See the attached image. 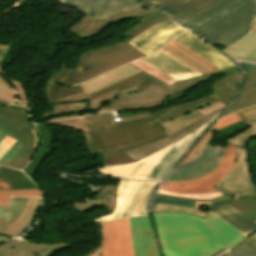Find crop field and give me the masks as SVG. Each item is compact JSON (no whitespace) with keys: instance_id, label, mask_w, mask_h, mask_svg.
I'll use <instances>...</instances> for the list:
<instances>
[{"instance_id":"obj_8","label":"crop field","mask_w":256,"mask_h":256,"mask_svg":"<svg viewBox=\"0 0 256 256\" xmlns=\"http://www.w3.org/2000/svg\"><path fill=\"white\" fill-rule=\"evenodd\" d=\"M129 223V218L102 223L103 256H134Z\"/></svg>"},{"instance_id":"obj_65","label":"crop field","mask_w":256,"mask_h":256,"mask_svg":"<svg viewBox=\"0 0 256 256\" xmlns=\"http://www.w3.org/2000/svg\"><path fill=\"white\" fill-rule=\"evenodd\" d=\"M9 45H0V61H2L6 55Z\"/></svg>"},{"instance_id":"obj_47","label":"crop field","mask_w":256,"mask_h":256,"mask_svg":"<svg viewBox=\"0 0 256 256\" xmlns=\"http://www.w3.org/2000/svg\"><path fill=\"white\" fill-rule=\"evenodd\" d=\"M143 17H145L147 19L141 21L139 24H137L135 27H133L132 29H130L129 31H127L123 35L130 37L134 32H136L140 28L146 26L147 24L151 23L152 21H154L156 19H159V18H162V17H166V15H164L163 13H161L159 11H156V12H152L150 14L144 15V16H140L138 18H143Z\"/></svg>"},{"instance_id":"obj_63","label":"crop field","mask_w":256,"mask_h":256,"mask_svg":"<svg viewBox=\"0 0 256 256\" xmlns=\"http://www.w3.org/2000/svg\"><path fill=\"white\" fill-rule=\"evenodd\" d=\"M80 116L79 113H72V114H64L58 117H54L51 119L43 120V122L50 121V120H58V119H64V118H70V117H77Z\"/></svg>"},{"instance_id":"obj_39","label":"crop field","mask_w":256,"mask_h":256,"mask_svg":"<svg viewBox=\"0 0 256 256\" xmlns=\"http://www.w3.org/2000/svg\"><path fill=\"white\" fill-rule=\"evenodd\" d=\"M2 113L10 116V120L16 122L22 127H34L30 117L28 116V110L19 106H5Z\"/></svg>"},{"instance_id":"obj_4","label":"crop field","mask_w":256,"mask_h":256,"mask_svg":"<svg viewBox=\"0 0 256 256\" xmlns=\"http://www.w3.org/2000/svg\"><path fill=\"white\" fill-rule=\"evenodd\" d=\"M215 118L216 116L183 139L136 163L106 167L99 171L118 177L162 180Z\"/></svg>"},{"instance_id":"obj_38","label":"crop field","mask_w":256,"mask_h":256,"mask_svg":"<svg viewBox=\"0 0 256 256\" xmlns=\"http://www.w3.org/2000/svg\"><path fill=\"white\" fill-rule=\"evenodd\" d=\"M238 201L228 203L230 206L244 214L249 219L256 222V197L252 195H244L234 197Z\"/></svg>"},{"instance_id":"obj_70","label":"crop field","mask_w":256,"mask_h":256,"mask_svg":"<svg viewBox=\"0 0 256 256\" xmlns=\"http://www.w3.org/2000/svg\"><path fill=\"white\" fill-rule=\"evenodd\" d=\"M9 239V237L0 235V242Z\"/></svg>"},{"instance_id":"obj_21","label":"crop field","mask_w":256,"mask_h":256,"mask_svg":"<svg viewBox=\"0 0 256 256\" xmlns=\"http://www.w3.org/2000/svg\"><path fill=\"white\" fill-rule=\"evenodd\" d=\"M163 50L167 51L186 65L198 70L204 75L218 70L216 67L209 64L174 40L169 45L165 46Z\"/></svg>"},{"instance_id":"obj_32","label":"crop field","mask_w":256,"mask_h":256,"mask_svg":"<svg viewBox=\"0 0 256 256\" xmlns=\"http://www.w3.org/2000/svg\"><path fill=\"white\" fill-rule=\"evenodd\" d=\"M84 55L85 53L81 54L78 66L75 70L67 69V64H64L61 67V71L54 72L48 81L60 85H71L79 83L80 75L82 72Z\"/></svg>"},{"instance_id":"obj_42","label":"crop field","mask_w":256,"mask_h":256,"mask_svg":"<svg viewBox=\"0 0 256 256\" xmlns=\"http://www.w3.org/2000/svg\"><path fill=\"white\" fill-rule=\"evenodd\" d=\"M132 64H134L135 66H137L138 68L142 69L143 71L151 74L152 76L164 81L165 83L167 84H172L174 83L175 81H177L176 79H174L173 77L159 71V70H156L144 63H142L141 61L137 60V61H134L132 62Z\"/></svg>"},{"instance_id":"obj_51","label":"crop field","mask_w":256,"mask_h":256,"mask_svg":"<svg viewBox=\"0 0 256 256\" xmlns=\"http://www.w3.org/2000/svg\"><path fill=\"white\" fill-rule=\"evenodd\" d=\"M0 103L3 104H13V96L8 88L7 85H5L0 80Z\"/></svg>"},{"instance_id":"obj_26","label":"crop field","mask_w":256,"mask_h":256,"mask_svg":"<svg viewBox=\"0 0 256 256\" xmlns=\"http://www.w3.org/2000/svg\"><path fill=\"white\" fill-rule=\"evenodd\" d=\"M95 192L100 193L99 197L96 199H91L87 202H80L72 204L73 207L83 213L91 208L95 207H105L110 210V212L115 209L116 201V191L118 186H93Z\"/></svg>"},{"instance_id":"obj_43","label":"crop field","mask_w":256,"mask_h":256,"mask_svg":"<svg viewBox=\"0 0 256 256\" xmlns=\"http://www.w3.org/2000/svg\"><path fill=\"white\" fill-rule=\"evenodd\" d=\"M119 93L120 92L117 89H115L109 93L103 94L97 98H93L89 100V105L87 110H98L100 108H103L107 102H109L111 99L118 96Z\"/></svg>"},{"instance_id":"obj_5","label":"crop field","mask_w":256,"mask_h":256,"mask_svg":"<svg viewBox=\"0 0 256 256\" xmlns=\"http://www.w3.org/2000/svg\"><path fill=\"white\" fill-rule=\"evenodd\" d=\"M167 20L171 19L169 17L159 19L140 29L127 40L116 42L109 46L86 52L80 83L99 76L134 59L147 57L140 51L136 50L128 42L139 36L151 26Z\"/></svg>"},{"instance_id":"obj_31","label":"crop field","mask_w":256,"mask_h":256,"mask_svg":"<svg viewBox=\"0 0 256 256\" xmlns=\"http://www.w3.org/2000/svg\"><path fill=\"white\" fill-rule=\"evenodd\" d=\"M0 180L9 183L10 189L37 188L22 172L3 166L0 168Z\"/></svg>"},{"instance_id":"obj_29","label":"crop field","mask_w":256,"mask_h":256,"mask_svg":"<svg viewBox=\"0 0 256 256\" xmlns=\"http://www.w3.org/2000/svg\"><path fill=\"white\" fill-rule=\"evenodd\" d=\"M223 52L236 60L256 61V31H251L244 39L226 48Z\"/></svg>"},{"instance_id":"obj_64","label":"crop field","mask_w":256,"mask_h":256,"mask_svg":"<svg viewBox=\"0 0 256 256\" xmlns=\"http://www.w3.org/2000/svg\"><path fill=\"white\" fill-rule=\"evenodd\" d=\"M246 244H248L249 246L253 247L254 249H256V234L247 238L246 240L242 241Z\"/></svg>"},{"instance_id":"obj_72","label":"crop field","mask_w":256,"mask_h":256,"mask_svg":"<svg viewBox=\"0 0 256 256\" xmlns=\"http://www.w3.org/2000/svg\"><path fill=\"white\" fill-rule=\"evenodd\" d=\"M251 193H253L254 195H256V190H255V191H253V192H251Z\"/></svg>"},{"instance_id":"obj_13","label":"crop field","mask_w":256,"mask_h":256,"mask_svg":"<svg viewBox=\"0 0 256 256\" xmlns=\"http://www.w3.org/2000/svg\"><path fill=\"white\" fill-rule=\"evenodd\" d=\"M165 94L166 91L148 83L122 92L120 96L110 101L105 107L123 108L158 104L165 101Z\"/></svg>"},{"instance_id":"obj_28","label":"crop field","mask_w":256,"mask_h":256,"mask_svg":"<svg viewBox=\"0 0 256 256\" xmlns=\"http://www.w3.org/2000/svg\"><path fill=\"white\" fill-rule=\"evenodd\" d=\"M232 71H239V68L236 67V68H232V69H228V70L217 71V72L208 74L206 76L192 78V79H188V80H184V81H178V82L172 84L171 86L163 83L162 81H160L158 79H155L154 77H152L150 75H148L144 78L151 84L168 91V93L166 95V97H168V96H173L179 92H183V91L195 86L198 83L204 82L205 80L211 78L214 75H220L223 73L225 75L226 73L232 72Z\"/></svg>"},{"instance_id":"obj_37","label":"crop field","mask_w":256,"mask_h":256,"mask_svg":"<svg viewBox=\"0 0 256 256\" xmlns=\"http://www.w3.org/2000/svg\"><path fill=\"white\" fill-rule=\"evenodd\" d=\"M88 101L85 102H72V103H60V104H51L52 110L45 112L41 115L38 121L51 118L63 113L71 112H81L85 111L87 108Z\"/></svg>"},{"instance_id":"obj_15","label":"crop field","mask_w":256,"mask_h":256,"mask_svg":"<svg viewBox=\"0 0 256 256\" xmlns=\"http://www.w3.org/2000/svg\"><path fill=\"white\" fill-rule=\"evenodd\" d=\"M156 11L153 8L145 7L124 13L117 14L103 22H100L88 15L73 24L67 31L81 38L95 36L102 33L105 26L120 22L125 19L135 18L149 12Z\"/></svg>"},{"instance_id":"obj_19","label":"crop field","mask_w":256,"mask_h":256,"mask_svg":"<svg viewBox=\"0 0 256 256\" xmlns=\"http://www.w3.org/2000/svg\"><path fill=\"white\" fill-rule=\"evenodd\" d=\"M12 246L19 252L12 254L10 256H50L51 254L71 248V243L69 244H33L29 242H24L19 239L4 243L0 245V250L6 247Z\"/></svg>"},{"instance_id":"obj_71","label":"crop field","mask_w":256,"mask_h":256,"mask_svg":"<svg viewBox=\"0 0 256 256\" xmlns=\"http://www.w3.org/2000/svg\"><path fill=\"white\" fill-rule=\"evenodd\" d=\"M253 30H256V22H255V24H254Z\"/></svg>"},{"instance_id":"obj_24","label":"crop field","mask_w":256,"mask_h":256,"mask_svg":"<svg viewBox=\"0 0 256 256\" xmlns=\"http://www.w3.org/2000/svg\"><path fill=\"white\" fill-rule=\"evenodd\" d=\"M209 211L225 220L243 234L256 230V224L227 204L211 207Z\"/></svg>"},{"instance_id":"obj_11","label":"crop field","mask_w":256,"mask_h":256,"mask_svg":"<svg viewBox=\"0 0 256 256\" xmlns=\"http://www.w3.org/2000/svg\"><path fill=\"white\" fill-rule=\"evenodd\" d=\"M225 149L207 145L204 152L193 162L177 167L164 181H182L202 177L212 172L220 162ZM212 162V164H210Z\"/></svg>"},{"instance_id":"obj_14","label":"crop field","mask_w":256,"mask_h":256,"mask_svg":"<svg viewBox=\"0 0 256 256\" xmlns=\"http://www.w3.org/2000/svg\"><path fill=\"white\" fill-rule=\"evenodd\" d=\"M164 9L181 22H186L222 0H139Z\"/></svg>"},{"instance_id":"obj_53","label":"crop field","mask_w":256,"mask_h":256,"mask_svg":"<svg viewBox=\"0 0 256 256\" xmlns=\"http://www.w3.org/2000/svg\"><path fill=\"white\" fill-rule=\"evenodd\" d=\"M239 79H240V71L239 72H232L229 73L227 75H225V77L223 78V80L225 81V83L234 91L236 92L237 90V86L239 83Z\"/></svg>"},{"instance_id":"obj_69","label":"crop field","mask_w":256,"mask_h":256,"mask_svg":"<svg viewBox=\"0 0 256 256\" xmlns=\"http://www.w3.org/2000/svg\"><path fill=\"white\" fill-rule=\"evenodd\" d=\"M224 251H226V250L223 248L222 250H220L219 252H217V253H215V254H213V255H211V256H218V255H220L221 253H223Z\"/></svg>"},{"instance_id":"obj_23","label":"crop field","mask_w":256,"mask_h":256,"mask_svg":"<svg viewBox=\"0 0 256 256\" xmlns=\"http://www.w3.org/2000/svg\"><path fill=\"white\" fill-rule=\"evenodd\" d=\"M138 69V68H137ZM133 66L127 64L119 69L108 72L100 77L84 82L81 85L85 95L95 92L105 86H108L114 82L124 79L128 76L140 72Z\"/></svg>"},{"instance_id":"obj_25","label":"crop field","mask_w":256,"mask_h":256,"mask_svg":"<svg viewBox=\"0 0 256 256\" xmlns=\"http://www.w3.org/2000/svg\"><path fill=\"white\" fill-rule=\"evenodd\" d=\"M221 106V107H220ZM225 105L217 102L215 104H212L210 106L197 109L195 111H192L188 114H185L181 117H178L174 120L168 121L166 123L160 124L161 128L164 130V132L170 136L176 131L202 119L203 117L209 115L210 113L224 107Z\"/></svg>"},{"instance_id":"obj_34","label":"crop field","mask_w":256,"mask_h":256,"mask_svg":"<svg viewBox=\"0 0 256 256\" xmlns=\"http://www.w3.org/2000/svg\"><path fill=\"white\" fill-rule=\"evenodd\" d=\"M146 75H148V74L142 71V72H140V73H138L136 75H133V76L128 77V78H126L124 80H121V81H119V82H117L115 84H112V85H110L108 87H105V88H103V89H101V90H99V91H97L95 93L87 95V98L89 100L90 98L96 97L98 95H101V94H103L105 92H108V91H110L112 89H115V88H117L120 92H122V91H126V90H129V89H132L134 87L143 85L145 83H148L146 80H144L142 78L143 76H146Z\"/></svg>"},{"instance_id":"obj_49","label":"crop field","mask_w":256,"mask_h":256,"mask_svg":"<svg viewBox=\"0 0 256 256\" xmlns=\"http://www.w3.org/2000/svg\"><path fill=\"white\" fill-rule=\"evenodd\" d=\"M158 193L165 194V195H171V196H179V197H185V198H196V199H204V200H209V199H214V198L224 196L223 194H221L219 192L211 193V194L185 195V194H178V193H172V192H166V191L159 190Z\"/></svg>"},{"instance_id":"obj_59","label":"crop field","mask_w":256,"mask_h":256,"mask_svg":"<svg viewBox=\"0 0 256 256\" xmlns=\"http://www.w3.org/2000/svg\"><path fill=\"white\" fill-rule=\"evenodd\" d=\"M84 100H87V98H86V96L84 95V93L82 91V92H78V93H76L74 95H69L67 97L60 98L55 103L72 102V101H84Z\"/></svg>"},{"instance_id":"obj_16","label":"crop field","mask_w":256,"mask_h":256,"mask_svg":"<svg viewBox=\"0 0 256 256\" xmlns=\"http://www.w3.org/2000/svg\"><path fill=\"white\" fill-rule=\"evenodd\" d=\"M130 220L135 256H160L149 216Z\"/></svg>"},{"instance_id":"obj_30","label":"crop field","mask_w":256,"mask_h":256,"mask_svg":"<svg viewBox=\"0 0 256 256\" xmlns=\"http://www.w3.org/2000/svg\"><path fill=\"white\" fill-rule=\"evenodd\" d=\"M40 203L41 199L27 198L21 215L13 223L7 225V230L0 231V234L9 237H15L21 234L32 220L34 212Z\"/></svg>"},{"instance_id":"obj_67","label":"crop field","mask_w":256,"mask_h":256,"mask_svg":"<svg viewBox=\"0 0 256 256\" xmlns=\"http://www.w3.org/2000/svg\"><path fill=\"white\" fill-rule=\"evenodd\" d=\"M240 63L244 66L245 69L256 71V65H254V64L242 63V62H240Z\"/></svg>"},{"instance_id":"obj_56","label":"crop field","mask_w":256,"mask_h":256,"mask_svg":"<svg viewBox=\"0 0 256 256\" xmlns=\"http://www.w3.org/2000/svg\"><path fill=\"white\" fill-rule=\"evenodd\" d=\"M17 140L10 136H6L0 143V158L12 147Z\"/></svg>"},{"instance_id":"obj_61","label":"crop field","mask_w":256,"mask_h":256,"mask_svg":"<svg viewBox=\"0 0 256 256\" xmlns=\"http://www.w3.org/2000/svg\"><path fill=\"white\" fill-rule=\"evenodd\" d=\"M85 120L92 119H106V118H114L113 113H100L96 115H87L83 117Z\"/></svg>"},{"instance_id":"obj_44","label":"crop field","mask_w":256,"mask_h":256,"mask_svg":"<svg viewBox=\"0 0 256 256\" xmlns=\"http://www.w3.org/2000/svg\"><path fill=\"white\" fill-rule=\"evenodd\" d=\"M213 132L210 130L207 132V134L199 141V143L193 148L192 151L186 156V158L179 164H186L195 158H197L204 150L205 146L207 145L209 139L212 137Z\"/></svg>"},{"instance_id":"obj_7","label":"crop field","mask_w":256,"mask_h":256,"mask_svg":"<svg viewBox=\"0 0 256 256\" xmlns=\"http://www.w3.org/2000/svg\"><path fill=\"white\" fill-rule=\"evenodd\" d=\"M236 158L235 146L228 143L219 166L211 174L196 180L163 182L160 189L186 194L217 192L213 186L231 170Z\"/></svg>"},{"instance_id":"obj_22","label":"crop field","mask_w":256,"mask_h":256,"mask_svg":"<svg viewBox=\"0 0 256 256\" xmlns=\"http://www.w3.org/2000/svg\"><path fill=\"white\" fill-rule=\"evenodd\" d=\"M253 104H256V72L246 70L244 81L237 98L221 117Z\"/></svg>"},{"instance_id":"obj_35","label":"crop field","mask_w":256,"mask_h":256,"mask_svg":"<svg viewBox=\"0 0 256 256\" xmlns=\"http://www.w3.org/2000/svg\"><path fill=\"white\" fill-rule=\"evenodd\" d=\"M26 198H12L8 207H0V230L6 229V225L13 222L21 213Z\"/></svg>"},{"instance_id":"obj_68","label":"crop field","mask_w":256,"mask_h":256,"mask_svg":"<svg viewBox=\"0 0 256 256\" xmlns=\"http://www.w3.org/2000/svg\"><path fill=\"white\" fill-rule=\"evenodd\" d=\"M99 247H100V246H98V248H97L96 250H94V251H92V252H89V253H87V254H86V255H84V256H91V255H93V254L97 253V251H98Z\"/></svg>"},{"instance_id":"obj_36","label":"crop field","mask_w":256,"mask_h":256,"mask_svg":"<svg viewBox=\"0 0 256 256\" xmlns=\"http://www.w3.org/2000/svg\"><path fill=\"white\" fill-rule=\"evenodd\" d=\"M210 203L197 202L195 208L192 207H183V206H173V205H165L158 203H151V212H176V213H186L201 217L203 219L206 218L207 212L199 210L200 205H204L209 207Z\"/></svg>"},{"instance_id":"obj_40","label":"crop field","mask_w":256,"mask_h":256,"mask_svg":"<svg viewBox=\"0 0 256 256\" xmlns=\"http://www.w3.org/2000/svg\"><path fill=\"white\" fill-rule=\"evenodd\" d=\"M0 141L8 134L12 136L13 138L17 139L18 141L14 144V146L0 159V164L7 166L20 152V150L23 148V143L19 136L16 134L10 132L6 128L0 126Z\"/></svg>"},{"instance_id":"obj_41","label":"crop field","mask_w":256,"mask_h":256,"mask_svg":"<svg viewBox=\"0 0 256 256\" xmlns=\"http://www.w3.org/2000/svg\"><path fill=\"white\" fill-rule=\"evenodd\" d=\"M78 91H82L80 85H75L72 87H56L50 84H46V99L49 103H53L60 97L67 96L69 94H74Z\"/></svg>"},{"instance_id":"obj_17","label":"crop field","mask_w":256,"mask_h":256,"mask_svg":"<svg viewBox=\"0 0 256 256\" xmlns=\"http://www.w3.org/2000/svg\"><path fill=\"white\" fill-rule=\"evenodd\" d=\"M174 40L189 48L190 50L198 54L200 57L216 66L219 70L237 66L227 57L222 55L220 52L212 48L204 41L200 40L196 35L192 34L190 31L183 33L181 36Z\"/></svg>"},{"instance_id":"obj_62","label":"crop field","mask_w":256,"mask_h":256,"mask_svg":"<svg viewBox=\"0 0 256 256\" xmlns=\"http://www.w3.org/2000/svg\"><path fill=\"white\" fill-rule=\"evenodd\" d=\"M157 107L156 105H151L147 107H136V108H124V109H112V108H103L100 112L102 111H127V110H139V109H150Z\"/></svg>"},{"instance_id":"obj_66","label":"crop field","mask_w":256,"mask_h":256,"mask_svg":"<svg viewBox=\"0 0 256 256\" xmlns=\"http://www.w3.org/2000/svg\"><path fill=\"white\" fill-rule=\"evenodd\" d=\"M17 252L16 250H14L12 247L10 248H6L0 251V256H6V255H10L12 253Z\"/></svg>"},{"instance_id":"obj_73","label":"crop field","mask_w":256,"mask_h":256,"mask_svg":"<svg viewBox=\"0 0 256 256\" xmlns=\"http://www.w3.org/2000/svg\"><path fill=\"white\" fill-rule=\"evenodd\" d=\"M254 1V4H255V7H256V0H253Z\"/></svg>"},{"instance_id":"obj_48","label":"crop field","mask_w":256,"mask_h":256,"mask_svg":"<svg viewBox=\"0 0 256 256\" xmlns=\"http://www.w3.org/2000/svg\"><path fill=\"white\" fill-rule=\"evenodd\" d=\"M48 124L62 125V126H66L69 128L83 130V131L88 130L85 123L83 122V119H81V118L61 120V121L47 123L46 125H48Z\"/></svg>"},{"instance_id":"obj_60","label":"crop field","mask_w":256,"mask_h":256,"mask_svg":"<svg viewBox=\"0 0 256 256\" xmlns=\"http://www.w3.org/2000/svg\"><path fill=\"white\" fill-rule=\"evenodd\" d=\"M34 134V138H35V143H34V146H33V150L31 151L30 155L27 157V159L23 162V164L20 166V170L23 169V167L27 164V162L31 159V157L33 156V154L35 153L38 145H39V142H40V138L38 136V133L36 132L35 128H30Z\"/></svg>"},{"instance_id":"obj_12","label":"crop field","mask_w":256,"mask_h":256,"mask_svg":"<svg viewBox=\"0 0 256 256\" xmlns=\"http://www.w3.org/2000/svg\"><path fill=\"white\" fill-rule=\"evenodd\" d=\"M101 21L110 16L146 5L129 0H58Z\"/></svg>"},{"instance_id":"obj_18","label":"crop field","mask_w":256,"mask_h":256,"mask_svg":"<svg viewBox=\"0 0 256 256\" xmlns=\"http://www.w3.org/2000/svg\"><path fill=\"white\" fill-rule=\"evenodd\" d=\"M139 60L173 76L178 80L202 75L201 73L189 68L188 66L162 50L150 58H144Z\"/></svg>"},{"instance_id":"obj_3","label":"crop field","mask_w":256,"mask_h":256,"mask_svg":"<svg viewBox=\"0 0 256 256\" xmlns=\"http://www.w3.org/2000/svg\"><path fill=\"white\" fill-rule=\"evenodd\" d=\"M255 17L252 0H224L184 24L210 43L228 46L249 32Z\"/></svg>"},{"instance_id":"obj_52","label":"crop field","mask_w":256,"mask_h":256,"mask_svg":"<svg viewBox=\"0 0 256 256\" xmlns=\"http://www.w3.org/2000/svg\"><path fill=\"white\" fill-rule=\"evenodd\" d=\"M237 121H241V119L238 117V115L236 113L230 115V116H227L225 118H222L220 120H218L213 128H215L216 130L220 129V128H223V127H226L228 125H231Z\"/></svg>"},{"instance_id":"obj_33","label":"crop field","mask_w":256,"mask_h":256,"mask_svg":"<svg viewBox=\"0 0 256 256\" xmlns=\"http://www.w3.org/2000/svg\"><path fill=\"white\" fill-rule=\"evenodd\" d=\"M36 127L43 139V142L36 156L33 158L30 164L24 169V172L31 179L41 161L49 153L50 132L48 131L47 126L45 124L37 125Z\"/></svg>"},{"instance_id":"obj_9","label":"crop field","mask_w":256,"mask_h":256,"mask_svg":"<svg viewBox=\"0 0 256 256\" xmlns=\"http://www.w3.org/2000/svg\"><path fill=\"white\" fill-rule=\"evenodd\" d=\"M237 147V162L232 170L214 187L217 191L229 193L233 196L249 194L256 189L250 176L249 165L245 148Z\"/></svg>"},{"instance_id":"obj_20","label":"crop field","mask_w":256,"mask_h":256,"mask_svg":"<svg viewBox=\"0 0 256 256\" xmlns=\"http://www.w3.org/2000/svg\"><path fill=\"white\" fill-rule=\"evenodd\" d=\"M222 109L218 110L217 112L203 118L202 120L196 122L195 124L173 134L172 136L163 139V140H159V141H155L149 144H146L144 146L126 151V153L134 160H138L140 158H143L149 154H152L158 150H160L161 148L167 146L168 144L176 141L177 139L181 138L182 136L186 135L187 133H189L190 131H192L194 128H196L197 126L201 125L202 123H204L205 121H207L208 119H210L211 117H213L214 115H216L217 113H219L220 111H222Z\"/></svg>"},{"instance_id":"obj_58","label":"crop field","mask_w":256,"mask_h":256,"mask_svg":"<svg viewBox=\"0 0 256 256\" xmlns=\"http://www.w3.org/2000/svg\"><path fill=\"white\" fill-rule=\"evenodd\" d=\"M0 72H1L4 76H6L5 73H4V71H3L2 69H0ZM6 77H7V76H6ZM7 78H8V77H7ZM8 79H9V80L13 83V85L16 87L17 93H18L19 98H20L21 105L28 106L27 98H26V95H25V92H24L23 88L21 87V84L15 82V81H13V80H11L10 78H8Z\"/></svg>"},{"instance_id":"obj_57","label":"crop field","mask_w":256,"mask_h":256,"mask_svg":"<svg viewBox=\"0 0 256 256\" xmlns=\"http://www.w3.org/2000/svg\"><path fill=\"white\" fill-rule=\"evenodd\" d=\"M238 114L246 121H256V106L238 112Z\"/></svg>"},{"instance_id":"obj_27","label":"crop field","mask_w":256,"mask_h":256,"mask_svg":"<svg viewBox=\"0 0 256 256\" xmlns=\"http://www.w3.org/2000/svg\"><path fill=\"white\" fill-rule=\"evenodd\" d=\"M4 106L0 104V111ZM9 117L0 113V125L6 127L10 131L18 134L22 141L24 142V149L19 153V155L8 165L9 167H13L18 169L21 163L25 160V158L30 153L34 138L32 132L28 128H22L19 125L8 120Z\"/></svg>"},{"instance_id":"obj_45","label":"crop field","mask_w":256,"mask_h":256,"mask_svg":"<svg viewBox=\"0 0 256 256\" xmlns=\"http://www.w3.org/2000/svg\"><path fill=\"white\" fill-rule=\"evenodd\" d=\"M247 124L251 126L249 129L245 130L237 136L228 139L227 142L245 147V142L248 140V138L256 136V122H251Z\"/></svg>"},{"instance_id":"obj_10","label":"crop field","mask_w":256,"mask_h":256,"mask_svg":"<svg viewBox=\"0 0 256 256\" xmlns=\"http://www.w3.org/2000/svg\"><path fill=\"white\" fill-rule=\"evenodd\" d=\"M185 31V28L171 20L148 29L129 43L144 54L150 56Z\"/></svg>"},{"instance_id":"obj_55","label":"crop field","mask_w":256,"mask_h":256,"mask_svg":"<svg viewBox=\"0 0 256 256\" xmlns=\"http://www.w3.org/2000/svg\"><path fill=\"white\" fill-rule=\"evenodd\" d=\"M12 196H28V197H41L42 193L38 189L30 190H10Z\"/></svg>"},{"instance_id":"obj_46","label":"crop field","mask_w":256,"mask_h":256,"mask_svg":"<svg viewBox=\"0 0 256 256\" xmlns=\"http://www.w3.org/2000/svg\"><path fill=\"white\" fill-rule=\"evenodd\" d=\"M220 256H256V250L240 242L235 247Z\"/></svg>"},{"instance_id":"obj_1","label":"crop field","mask_w":256,"mask_h":256,"mask_svg":"<svg viewBox=\"0 0 256 256\" xmlns=\"http://www.w3.org/2000/svg\"><path fill=\"white\" fill-rule=\"evenodd\" d=\"M212 87L215 90L212 96L154 112L151 119L129 123L120 119L86 122L90 130L84 132L89 154L102 155L104 166L134 162L124 151L167 137L158 124L217 101L227 105L235 95L222 79Z\"/></svg>"},{"instance_id":"obj_2","label":"crop field","mask_w":256,"mask_h":256,"mask_svg":"<svg viewBox=\"0 0 256 256\" xmlns=\"http://www.w3.org/2000/svg\"><path fill=\"white\" fill-rule=\"evenodd\" d=\"M152 216L164 256H209L246 237L210 212L205 220L176 213Z\"/></svg>"},{"instance_id":"obj_54","label":"crop field","mask_w":256,"mask_h":256,"mask_svg":"<svg viewBox=\"0 0 256 256\" xmlns=\"http://www.w3.org/2000/svg\"><path fill=\"white\" fill-rule=\"evenodd\" d=\"M9 187L7 183L0 181V205L7 206L10 198Z\"/></svg>"},{"instance_id":"obj_6","label":"crop field","mask_w":256,"mask_h":256,"mask_svg":"<svg viewBox=\"0 0 256 256\" xmlns=\"http://www.w3.org/2000/svg\"><path fill=\"white\" fill-rule=\"evenodd\" d=\"M159 182L121 179L117 192L116 209L112 215L93 220V222L148 215V202Z\"/></svg>"},{"instance_id":"obj_50","label":"crop field","mask_w":256,"mask_h":256,"mask_svg":"<svg viewBox=\"0 0 256 256\" xmlns=\"http://www.w3.org/2000/svg\"><path fill=\"white\" fill-rule=\"evenodd\" d=\"M152 202L166 203V204H173V205L193 206V207L195 206V203H196V201L164 198V197H158V196H154Z\"/></svg>"}]
</instances>
